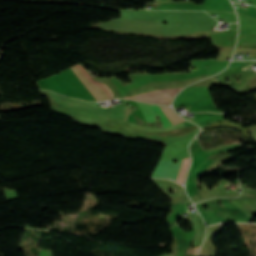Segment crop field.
Listing matches in <instances>:
<instances>
[{"label":"crop field","instance_id":"crop-field-2","mask_svg":"<svg viewBox=\"0 0 256 256\" xmlns=\"http://www.w3.org/2000/svg\"><path fill=\"white\" fill-rule=\"evenodd\" d=\"M183 87L180 88H172V89H164L158 90L150 93H145L137 96L130 97L132 99H137L141 101L157 103V104H164L169 105L171 104L172 99L177 94V92ZM127 97V96H125ZM129 98V97H127Z\"/></svg>","mask_w":256,"mask_h":256},{"label":"crop field","instance_id":"crop-field-1","mask_svg":"<svg viewBox=\"0 0 256 256\" xmlns=\"http://www.w3.org/2000/svg\"><path fill=\"white\" fill-rule=\"evenodd\" d=\"M71 68L76 73V75L80 78V80L84 83V85L88 88V90L92 93V95L96 98L97 101H103L111 98L113 99L111 90L104 84V86L111 93V98H110V93L102 85L103 83L92 79L89 73L85 70V68L82 65L77 64V65L71 66Z\"/></svg>","mask_w":256,"mask_h":256},{"label":"crop field","instance_id":"crop-field-3","mask_svg":"<svg viewBox=\"0 0 256 256\" xmlns=\"http://www.w3.org/2000/svg\"><path fill=\"white\" fill-rule=\"evenodd\" d=\"M139 105H140V108L142 110V113L144 115V118L147 122H152V123H155L157 122L155 115L157 116H161V119H162V123H163V128H168V127H172L162 106H159V105H152V108H153V111H154V114H153V111H152V108H151V105L149 103H142V102H138Z\"/></svg>","mask_w":256,"mask_h":256},{"label":"crop field","instance_id":"crop-field-4","mask_svg":"<svg viewBox=\"0 0 256 256\" xmlns=\"http://www.w3.org/2000/svg\"><path fill=\"white\" fill-rule=\"evenodd\" d=\"M52 95H53L54 101L58 102V103H64V104H70V105H76V106H83V107H90V108L99 109L97 102H86V101H81V100H78V99H72V98H68V97L58 95L54 92H52Z\"/></svg>","mask_w":256,"mask_h":256},{"label":"crop field","instance_id":"crop-field-5","mask_svg":"<svg viewBox=\"0 0 256 256\" xmlns=\"http://www.w3.org/2000/svg\"><path fill=\"white\" fill-rule=\"evenodd\" d=\"M236 147H240V144H231V145H223V146H217L213 149H209V150H205V152L208 154V155H211V154H215V153H218V152H222V151H227V150H231V149H234Z\"/></svg>","mask_w":256,"mask_h":256}]
</instances>
